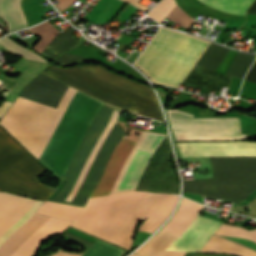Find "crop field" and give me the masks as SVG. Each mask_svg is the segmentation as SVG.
<instances>
[{"instance_id": "1", "label": "crop field", "mask_w": 256, "mask_h": 256, "mask_svg": "<svg viewBox=\"0 0 256 256\" xmlns=\"http://www.w3.org/2000/svg\"><path fill=\"white\" fill-rule=\"evenodd\" d=\"M81 67L88 70L90 74L77 66L59 68L50 65L42 72L118 108L128 109L163 121L158 103L150 88L116 75L99 65ZM42 72L25 87L20 96L57 109L69 86L42 74ZM75 92L76 90L69 87L57 110L18 97L0 123L37 159L42 154ZM102 104V102L78 91L74 95L41 156L59 176L64 173L82 135ZM112 112L113 109L104 105L100 109L64 175V178L67 179L65 184L61 191L48 201L85 206L88 197H91L119 142L125 135L124 128L115 123L119 112L115 110L113 114ZM164 136L165 134L143 131L136 145L135 142L125 139L115 152L92 196L109 193L125 159L135 145L126 159L110 194L134 190L148 160ZM64 199L67 202L72 200V202H63Z\"/></svg>"}, {"instance_id": "2", "label": "crop field", "mask_w": 256, "mask_h": 256, "mask_svg": "<svg viewBox=\"0 0 256 256\" xmlns=\"http://www.w3.org/2000/svg\"><path fill=\"white\" fill-rule=\"evenodd\" d=\"M147 193L131 192L88 199L85 208L45 202L38 213L74 221L71 226L111 242ZM177 195L148 193L111 243L128 248L138 221L139 232L151 234L169 215Z\"/></svg>"}, {"instance_id": "3", "label": "crop field", "mask_w": 256, "mask_h": 256, "mask_svg": "<svg viewBox=\"0 0 256 256\" xmlns=\"http://www.w3.org/2000/svg\"><path fill=\"white\" fill-rule=\"evenodd\" d=\"M182 157H256V142L177 143ZM209 158L213 179L183 182V192L226 199L250 194L256 189V158Z\"/></svg>"}, {"instance_id": "4", "label": "crop field", "mask_w": 256, "mask_h": 256, "mask_svg": "<svg viewBox=\"0 0 256 256\" xmlns=\"http://www.w3.org/2000/svg\"><path fill=\"white\" fill-rule=\"evenodd\" d=\"M208 45L203 39L162 27L135 65L152 81L177 88Z\"/></svg>"}, {"instance_id": "5", "label": "crop field", "mask_w": 256, "mask_h": 256, "mask_svg": "<svg viewBox=\"0 0 256 256\" xmlns=\"http://www.w3.org/2000/svg\"><path fill=\"white\" fill-rule=\"evenodd\" d=\"M45 171L0 128V190L45 201L52 192L37 178Z\"/></svg>"}, {"instance_id": "6", "label": "crop field", "mask_w": 256, "mask_h": 256, "mask_svg": "<svg viewBox=\"0 0 256 256\" xmlns=\"http://www.w3.org/2000/svg\"><path fill=\"white\" fill-rule=\"evenodd\" d=\"M203 205L182 198L179 208L163 229L179 236L199 214ZM221 222L197 216L166 250L199 252Z\"/></svg>"}, {"instance_id": "7", "label": "crop field", "mask_w": 256, "mask_h": 256, "mask_svg": "<svg viewBox=\"0 0 256 256\" xmlns=\"http://www.w3.org/2000/svg\"><path fill=\"white\" fill-rule=\"evenodd\" d=\"M176 140H238L239 118H193V115L167 109Z\"/></svg>"}, {"instance_id": "8", "label": "crop field", "mask_w": 256, "mask_h": 256, "mask_svg": "<svg viewBox=\"0 0 256 256\" xmlns=\"http://www.w3.org/2000/svg\"><path fill=\"white\" fill-rule=\"evenodd\" d=\"M51 217L35 213L1 247L0 256H11L19 246L32 236ZM72 222L52 217L32 237L26 240L12 256H32L41 241L52 234L63 232Z\"/></svg>"}, {"instance_id": "9", "label": "crop field", "mask_w": 256, "mask_h": 256, "mask_svg": "<svg viewBox=\"0 0 256 256\" xmlns=\"http://www.w3.org/2000/svg\"><path fill=\"white\" fill-rule=\"evenodd\" d=\"M42 204L43 202L0 192V246L20 228Z\"/></svg>"}, {"instance_id": "10", "label": "crop field", "mask_w": 256, "mask_h": 256, "mask_svg": "<svg viewBox=\"0 0 256 256\" xmlns=\"http://www.w3.org/2000/svg\"><path fill=\"white\" fill-rule=\"evenodd\" d=\"M214 234L230 235L248 238L256 242V230L247 231L237 226L226 225L222 223ZM200 252L208 253H224L233 254L236 256H256V252L234 244L232 242L219 239L215 236H211L208 242L204 245Z\"/></svg>"}, {"instance_id": "11", "label": "crop field", "mask_w": 256, "mask_h": 256, "mask_svg": "<svg viewBox=\"0 0 256 256\" xmlns=\"http://www.w3.org/2000/svg\"><path fill=\"white\" fill-rule=\"evenodd\" d=\"M0 17L5 21L9 32L27 27L20 0H0Z\"/></svg>"}, {"instance_id": "12", "label": "crop field", "mask_w": 256, "mask_h": 256, "mask_svg": "<svg viewBox=\"0 0 256 256\" xmlns=\"http://www.w3.org/2000/svg\"><path fill=\"white\" fill-rule=\"evenodd\" d=\"M64 236L87 246L88 248L83 253H85L90 248V246L94 243V242L91 243L84 239L78 238L68 232H66L64 234ZM123 253H124V250H122V249L116 248L114 246H111V245H108L106 243L96 240V242L92 245V247L83 255L71 254V253H65L62 251H58L55 254H53L52 256H80V255L81 256H121Z\"/></svg>"}, {"instance_id": "13", "label": "crop field", "mask_w": 256, "mask_h": 256, "mask_svg": "<svg viewBox=\"0 0 256 256\" xmlns=\"http://www.w3.org/2000/svg\"><path fill=\"white\" fill-rule=\"evenodd\" d=\"M176 238L177 236L161 229L138 249L135 254L142 256H160L165 248Z\"/></svg>"}, {"instance_id": "14", "label": "crop field", "mask_w": 256, "mask_h": 256, "mask_svg": "<svg viewBox=\"0 0 256 256\" xmlns=\"http://www.w3.org/2000/svg\"><path fill=\"white\" fill-rule=\"evenodd\" d=\"M74 31L75 30L72 27L62 31L60 34L55 36V38L49 43L43 53L54 60L67 49L78 44L80 41H77L72 37V32Z\"/></svg>"}, {"instance_id": "15", "label": "crop field", "mask_w": 256, "mask_h": 256, "mask_svg": "<svg viewBox=\"0 0 256 256\" xmlns=\"http://www.w3.org/2000/svg\"><path fill=\"white\" fill-rule=\"evenodd\" d=\"M33 34L41 37L42 39L32 48L39 52H41L46 48L48 43L54 38V36L59 33L60 31L56 29L52 24H50L48 21L37 25L35 27H32L28 29Z\"/></svg>"}, {"instance_id": "16", "label": "crop field", "mask_w": 256, "mask_h": 256, "mask_svg": "<svg viewBox=\"0 0 256 256\" xmlns=\"http://www.w3.org/2000/svg\"><path fill=\"white\" fill-rule=\"evenodd\" d=\"M253 0H207L206 4L229 13L244 15Z\"/></svg>"}, {"instance_id": "17", "label": "crop field", "mask_w": 256, "mask_h": 256, "mask_svg": "<svg viewBox=\"0 0 256 256\" xmlns=\"http://www.w3.org/2000/svg\"><path fill=\"white\" fill-rule=\"evenodd\" d=\"M0 45L3 46L8 51H10L20 57L47 62L44 59H42L41 57L34 54L33 52L19 47L17 44H15L13 41H11L10 39H8L6 37L0 39Z\"/></svg>"}, {"instance_id": "18", "label": "crop field", "mask_w": 256, "mask_h": 256, "mask_svg": "<svg viewBox=\"0 0 256 256\" xmlns=\"http://www.w3.org/2000/svg\"><path fill=\"white\" fill-rule=\"evenodd\" d=\"M175 5L176 3L174 0H162L148 13V15L160 23Z\"/></svg>"}, {"instance_id": "19", "label": "crop field", "mask_w": 256, "mask_h": 256, "mask_svg": "<svg viewBox=\"0 0 256 256\" xmlns=\"http://www.w3.org/2000/svg\"><path fill=\"white\" fill-rule=\"evenodd\" d=\"M174 23L180 24L185 29H189V27L194 22L187 14H185L177 5L167 16Z\"/></svg>"}, {"instance_id": "20", "label": "crop field", "mask_w": 256, "mask_h": 256, "mask_svg": "<svg viewBox=\"0 0 256 256\" xmlns=\"http://www.w3.org/2000/svg\"><path fill=\"white\" fill-rule=\"evenodd\" d=\"M248 196V195H247ZM247 196H242L238 198H233V199H228V201L234 202L236 205L241 202L245 197ZM256 197V190L253 191L247 198H245L241 203H239L237 206H244L247 205L250 201H252Z\"/></svg>"}, {"instance_id": "21", "label": "crop field", "mask_w": 256, "mask_h": 256, "mask_svg": "<svg viewBox=\"0 0 256 256\" xmlns=\"http://www.w3.org/2000/svg\"><path fill=\"white\" fill-rule=\"evenodd\" d=\"M84 59L83 57H79V56H75V55H71L68 53H65L64 55H62L60 58H58L56 60V62L62 63V64H67V63H71L73 61H77V60H81Z\"/></svg>"}, {"instance_id": "22", "label": "crop field", "mask_w": 256, "mask_h": 256, "mask_svg": "<svg viewBox=\"0 0 256 256\" xmlns=\"http://www.w3.org/2000/svg\"><path fill=\"white\" fill-rule=\"evenodd\" d=\"M244 79L256 83V60L253 63L251 69L249 70L248 74L245 76Z\"/></svg>"}, {"instance_id": "23", "label": "crop field", "mask_w": 256, "mask_h": 256, "mask_svg": "<svg viewBox=\"0 0 256 256\" xmlns=\"http://www.w3.org/2000/svg\"><path fill=\"white\" fill-rule=\"evenodd\" d=\"M59 3L55 4L58 9L61 11V10H64L65 8L69 7L74 1L76 0H57ZM56 7V8H57Z\"/></svg>"}, {"instance_id": "24", "label": "crop field", "mask_w": 256, "mask_h": 256, "mask_svg": "<svg viewBox=\"0 0 256 256\" xmlns=\"http://www.w3.org/2000/svg\"><path fill=\"white\" fill-rule=\"evenodd\" d=\"M185 252H173V251H164L161 256H183ZM131 256H138V255H131ZM185 256H201V255H189L185 254Z\"/></svg>"}, {"instance_id": "25", "label": "crop field", "mask_w": 256, "mask_h": 256, "mask_svg": "<svg viewBox=\"0 0 256 256\" xmlns=\"http://www.w3.org/2000/svg\"><path fill=\"white\" fill-rule=\"evenodd\" d=\"M11 103L10 102H6L4 101L1 105H0V118L2 117V115L7 111V109L10 107Z\"/></svg>"}, {"instance_id": "26", "label": "crop field", "mask_w": 256, "mask_h": 256, "mask_svg": "<svg viewBox=\"0 0 256 256\" xmlns=\"http://www.w3.org/2000/svg\"><path fill=\"white\" fill-rule=\"evenodd\" d=\"M126 1L130 2L131 4L135 5V6L138 7V8H140V9L143 10L144 12H145L146 10H148V8H146V7H144V6H142V5H140V4L137 3L139 0H126Z\"/></svg>"}, {"instance_id": "27", "label": "crop field", "mask_w": 256, "mask_h": 256, "mask_svg": "<svg viewBox=\"0 0 256 256\" xmlns=\"http://www.w3.org/2000/svg\"><path fill=\"white\" fill-rule=\"evenodd\" d=\"M246 14H256V0L255 2L249 7Z\"/></svg>"}, {"instance_id": "28", "label": "crop field", "mask_w": 256, "mask_h": 256, "mask_svg": "<svg viewBox=\"0 0 256 256\" xmlns=\"http://www.w3.org/2000/svg\"><path fill=\"white\" fill-rule=\"evenodd\" d=\"M201 1L205 3L206 0H201Z\"/></svg>"}]
</instances>
